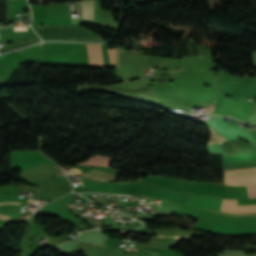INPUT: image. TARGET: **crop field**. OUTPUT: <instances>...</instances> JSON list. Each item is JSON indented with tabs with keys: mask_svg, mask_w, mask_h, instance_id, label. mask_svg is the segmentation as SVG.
Here are the masks:
<instances>
[{
	"mask_svg": "<svg viewBox=\"0 0 256 256\" xmlns=\"http://www.w3.org/2000/svg\"><path fill=\"white\" fill-rule=\"evenodd\" d=\"M225 185L244 186L256 184V167L223 170Z\"/></svg>",
	"mask_w": 256,
	"mask_h": 256,
	"instance_id": "8a807250",
	"label": "crop field"
},
{
	"mask_svg": "<svg viewBox=\"0 0 256 256\" xmlns=\"http://www.w3.org/2000/svg\"><path fill=\"white\" fill-rule=\"evenodd\" d=\"M90 67H103L101 45H87Z\"/></svg>",
	"mask_w": 256,
	"mask_h": 256,
	"instance_id": "ac0d7876",
	"label": "crop field"
},
{
	"mask_svg": "<svg viewBox=\"0 0 256 256\" xmlns=\"http://www.w3.org/2000/svg\"><path fill=\"white\" fill-rule=\"evenodd\" d=\"M222 211H229L235 213L256 212V206H237L236 200L224 199Z\"/></svg>",
	"mask_w": 256,
	"mask_h": 256,
	"instance_id": "34b2d1b8",
	"label": "crop field"
},
{
	"mask_svg": "<svg viewBox=\"0 0 256 256\" xmlns=\"http://www.w3.org/2000/svg\"><path fill=\"white\" fill-rule=\"evenodd\" d=\"M77 7L81 8V1H76ZM83 17L94 23V0L82 1Z\"/></svg>",
	"mask_w": 256,
	"mask_h": 256,
	"instance_id": "412701ff",
	"label": "crop field"
},
{
	"mask_svg": "<svg viewBox=\"0 0 256 256\" xmlns=\"http://www.w3.org/2000/svg\"><path fill=\"white\" fill-rule=\"evenodd\" d=\"M82 173L95 175V176H100V177L111 178V179H114V177L116 175L114 173H108V172H103V171H98V170L87 169V168H84Z\"/></svg>",
	"mask_w": 256,
	"mask_h": 256,
	"instance_id": "f4fd0767",
	"label": "crop field"
},
{
	"mask_svg": "<svg viewBox=\"0 0 256 256\" xmlns=\"http://www.w3.org/2000/svg\"><path fill=\"white\" fill-rule=\"evenodd\" d=\"M102 50H103L104 66H109L108 53H107V46H106V44L102 45Z\"/></svg>",
	"mask_w": 256,
	"mask_h": 256,
	"instance_id": "dd49c442",
	"label": "crop field"
},
{
	"mask_svg": "<svg viewBox=\"0 0 256 256\" xmlns=\"http://www.w3.org/2000/svg\"><path fill=\"white\" fill-rule=\"evenodd\" d=\"M250 187H251V191H252L253 197H256V185L250 186ZM247 188H248L249 196H250V198H251L252 196H251V192H250L249 186H247Z\"/></svg>",
	"mask_w": 256,
	"mask_h": 256,
	"instance_id": "e52e79f7",
	"label": "crop field"
},
{
	"mask_svg": "<svg viewBox=\"0 0 256 256\" xmlns=\"http://www.w3.org/2000/svg\"><path fill=\"white\" fill-rule=\"evenodd\" d=\"M0 219L9 221L10 217L9 216L0 215Z\"/></svg>",
	"mask_w": 256,
	"mask_h": 256,
	"instance_id": "d8731c3e",
	"label": "crop field"
},
{
	"mask_svg": "<svg viewBox=\"0 0 256 256\" xmlns=\"http://www.w3.org/2000/svg\"><path fill=\"white\" fill-rule=\"evenodd\" d=\"M2 203H7V202H2ZM13 203H19V202H13ZM13 203H8V204H13ZM1 204V203H0ZM20 204V203H19ZM22 204V203H21ZM18 205V204H17Z\"/></svg>",
	"mask_w": 256,
	"mask_h": 256,
	"instance_id": "5a996713",
	"label": "crop field"
},
{
	"mask_svg": "<svg viewBox=\"0 0 256 256\" xmlns=\"http://www.w3.org/2000/svg\"><path fill=\"white\" fill-rule=\"evenodd\" d=\"M126 250L136 251V249H126Z\"/></svg>",
	"mask_w": 256,
	"mask_h": 256,
	"instance_id": "3316defc",
	"label": "crop field"
},
{
	"mask_svg": "<svg viewBox=\"0 0 256 256\" xmlns=\"http://www.w3.org/2000/svg\"><path fill=\"white\" fill-rule=\"evenodd\" d=\"M30 202H32V200H29Z\"/></svg>",
	"mask_w": 256,
	"mask_h": 256,
	"instance_id": "28ad6ade",
	"label": "crop field"
}]
</instances>
